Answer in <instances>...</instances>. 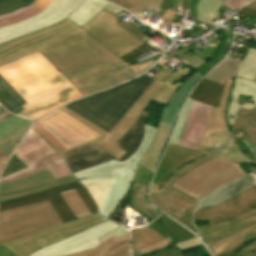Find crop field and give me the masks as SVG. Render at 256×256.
<instances>
[{
    "label": "crop field",
    "instance_id": "8a807250",
    "mask_svg": "<svg viewBox=\"0 0 256 256\" xmlns=\"http://www.w3.org/2000/svg\"><path fill=\"white\" fill-rule=\"evenodd\" d=\"M39 51L84 95L135 77L129 66L68 18L0 45V66Z\"/></svg>",
    "mask_w": 256,
    "mask_h": 256
},
{
    "label": "crop field",
    "instance_id": "ac0d7876",
    "mask_svg": "<svg viewBox=\"0 0 256 256\" xmlns=\"http://www.w3.org/2000/svg\"><path fill=\"white\" fill-rule=\"evenodd\" d=\"M193 221H209L210 225L197 229L214 256H231L242 243L256 238V188L221 205L196 211Z\"/></svg>",
    "mask_w": 256,
    "mask_h": 256
},
{
    "label": "crop field",
    "instance_id": "34b2d1b8",
    "mask_svg": "<svg viewBox=\"0 0 256 256\" xmlns=\"http://www.w3.org/2000/svg\"><path fill=\"white\" fill-rule=\"evenodd\" d=\"M152 80L153 78L144 74L129 83L83 98L64 107L108 133L138 100Z\"/></svg>",
    "mask_w": 256,
    "mask_h": 256
},
{
    "label": "crop field",
    "instance_id": "412701ff",
    "mask_svg": "<svg viewBox=\"0 0 256 256\" xmlns=\"http://www.w3.org/2000/svg\"><path fill=\"white\" fill-rule=\"evenodd\" d=\"M11 86L28 103L17 114L31 120L84 96L55 67L23 78Z\"/></svg>",
    "mask_w": 256,
    "mask_h": 256
},
{
    "label": "crop field",
    "instance_id": "f4fd0767",
    "mask_svg": "<svg viewBox=\"0 0 256 256\" xmlns=\"http://www.w3.org/2000/svg\"><path fill=\"white\" fill-rule=\"evenodd\" d=\"M117 22H119L118 19L102 10L81 28L129 63L131 65L129 68L137 76L149 68L160 55L136 63L133 57L139 56L152 48L126 32L116 24Z\"/></svg>",
    "mask_w": 256,
    "mask_h": 256
},
{
    "label": "crop field",
    "instance_id": "dd49c442",
    "mask_svg": "<svg viewBox=\"0 0 256 256\" xmlns=\"http://www.w3.org/2000/svg\"><path fill=\"white\" fill-rule=\"evenodd\" d=\"M211 158L213 157L208 154L169 144L164 153L159 168L156 171L155 179L153 182L154 184L163 187L164 189L177 195L183 200L193 204L180 218L174 217L173 215L171 216L196 234H198V232L191 222L196 200L171 187L170 185L192 168L204 163Z\"/></svg>",
    "mask_w": 256,
    "mask_h": 256
},
{
    "label": "crop field",
    "instance_id": "e52e79f7",
    "mask_svg": "<svg viewBox=\"0 0 256 256\" xmlns=\"http://www.w3.org/2000/svg\"><path fill=\"white\" fill-rule=\"evenodd\" d=\"M63 223L49 201L0 212L2 243Z\"/></svg>",
    "mask_w": 256,
    "mask_h": 256
},
{
    "label": "crop field",
    "instance_id": "d8731c3e",
    "mask_svg": "<svg viewBox=\"0 0 256 256\" xmlns=\"http://www.w3.org/2000/svg\"><path fill=\"white\" fill-rule=\"evenodd\" d=\"M243 175L246 173L239 163L215 157L186 173L172 186L199 199Z\"/></svg>",
    "mask_w": 256,
    "mask_h": 256
},
{
    "label": "crop field",
    "instance_id": "5a996713",
    "mask_svg": "<svg viewBox=\"0 0 256 256\" xmlns=\"http://www.w3.org/2000/svg\"><path fill=\"white\" fill-rule=\"evenodd\" d=\"M14 155L28 168L2 178L0 183L18 179L45 168L55 180L72 175L61 155L31 129Z\"/></svg>",
    "mask_w": 256,
    "mask_h": 256
},
{
    "label": "crop field",
    "instance_id": "3316defc",
    "mask_svg": "<svg viewBox=\"0 0 256 256\" xmlns=\"http://www.w3.org/2000/svg\"><path fill=\"white\" fill-rule=\"evenodd\" d=\"M148 115V113L143 112L132 128L126 133V135L124 134L125 136L116 144L127 152L118 160L94 143L69 150L62 154V156L70 166L73 173L99 165L112 159L119 162L127 160L136 152L143 139L144 124Z\"/></svg>",
    "mask_w": 256,
    "mask_h": 256
},
{
    "label": "crop field",
    "instance_id": "28ad6ade",
    "mask_svg": "<svg viewBox=\"0 0 256 256\" xmlns=\"http://www.w3.org/2000/svg\"><path fill=\"white\" fill-rule=\"evenodd\" d=\"M110 173L111 178L100 177L80 181L94 199L98 213L107 218L123 198L135 174L126 166L112 169Z\"/></svg>",
    "mask_w": 256,
    "mask_h": 256
},
{
    "label": "crop field",
    "instance_id": "d1516ede",
    "mask_svg": "<svg viewBox=\"0 0 256 256\" xmlns=\"http://www.w3.org/2000/svg\"><path fill=\"white\" fill-rule=\"evenodd\" d=\"M105 220L98 215H94L74 222L54 225L40 232L4 243V245L18 256H28L39 248L97 225Z\"/></svg>",
    "mask_w": 256,
    "mask_h": 256
},
{
    "label": "crop field",
    "instance_id": "22f410ed",
    "mask_svg": "<svg viewBox=\"0 0 256 256\" xmlns=\"http://www.w3.org/2000/svg\"><path fill=\"white\" fill-rule=\"evenodd\" d=\"M37 122L67 150L96 143L104 138L61 109Z\"/></svg>",
    "mask_w": 256,
    "mask_h": 256
},
{
    "label": "crop field",
    "instance_id": "cbeb9de0",
    "mask_svg": "<svg viewBox=\"0 0 256 256\" xmlns=\"http://www.w3.org/2000/svg\"><path fill=\"white\" fill-rule=\"evenodd\" d=\"M164 83L154 79L151 85L147 88V90L143 93V95L139 98V100L135 103V105L128 111V113L114 126V128L107 134L104 131L100 130L84 118L74 114L66 108H61L74 118L78 119L85 125L91 127L95 131L99 132L106 138L97 143L98 146L103 148L105 151L113 155L115 158L121 157L124 152L115 144L124 136V134L130 129L133 123L137 120V118L141 115L144 109L147 107L149 102L152 100L157 91L161 88Z\"/></svg>",
    "mask_w": 256,
    "mask_h": 256
},
{
    "label": "crop field",
    "instance_id": "5142ce71",
    "mask_svg": "<svg viewBox=\"0 0 256 256\" xmlns=\"http://www.w3.org/2000/svg\"><path fill=\"white\" fill-rule=\"evenodd\" d=\"M83 0H53L41 14L12 26L0 28V43L50 26L68 17Z\"/></svg>",
    "mask_w": 256,
    "mask_h": 256
},
{
    "label": "crop field",
    "instance_id": "d9b57169",
    "mask_svg": "<svg viewBox=\"0 0 256 256\" xmlns=\"http://www.w3.org/2000/svg\"><path fill=\"white\" fill-rule=\"evenodd\" d=\"M75 188L86 206L88 207L91 214L97 212L96 206L93 200L88 196L84 187L81 186L78 181L69 183L63 186L52 188L46 191L18 197L16 199L0 202V211L5 209H10L18 206H23L27 204L37 203L41 201L49 200L54 209L57 211L63 222L76 219L71 209L68 207L66 202L63 200L61 195L58 193L67 189Z\"/></svg>",
    "mask_w": 256,
    "mask_h": 256
},
{
    "label": "crop field",
    "instance_id": "733c2abd",
    "mask_svg": "<svg viewBox=\"0 0 256 256\" xmlns=\"http://www.w3.org/2000/svg\"><path fill=\"white\" fill-rule=\"evenodd\" d=\"M214 148L202 150L211 156H217L239 163L256 164V143L243 129L211 134Z\"/></svg>",
    "mask_w": 256,
    "mask_h": 256
},
{
    "label": "crop field",
    "instance_id": "4a817a6b",
    "mask_svg": "<svg viewBox=\"0 0 256 256\" xmlns=\"http://www.w3.org/2000/svg\"><path fill=\"white\" fill-rule=\"evenodd\" d=\"M119 225L107 220L83 232L55 242L30 256H64L96 248L101 243L97 240Z\"/></svg>",
    "mask_w": 256,
    "mask_h": 256
},
{
    "label": "crop field",
    "instance_id": "bc2a9ffb",
    "mask_svg": "<svg viewBox=\"0 0 256 256\" xmlns=\"http://www.w3.org/2000/svg\"><path fill=\"white\" fill-rule=\"evenodd\" d=\"M76 181L74 175L54 181L47 169L27 177L0 184V201L46 190Z\"/></svg>",
    "mask_w": 256,
    "mask_h": 256
},
{
    "label": "crop field",
    "instance_id": "214f88e0",
    "mask_svg": "<svg viewBox=\"0 0 256 256\" xmlns=\"http://www.w3.org/2000/svg\"><path fill=\"white\" fill-rule=\"evenodd\" d=\"M50 67H53V65L49 63L39 52H37L1 66L0 74L10 84L18 79Z\"/></svg>",
    "mask_w": 256,
    "mask_h": 256
},
{
    "label": "crop field",
    "instance_id": "92a150f3",
    "mask_svg": "<svg viewBox=\"0 0 256 256\" xmlns=\"http://www.w3.org/2000/svg\"><path fill=\"white\" fill-rule=\"evenodd\" d=\"M156 129L145 125V137L137 152L127 161L118 163L114 160L104 163L102 165L89 168L80 172L75 173L78 180L85 179V178H92V177H100V176H107L110 177L109 169L126 165L131 168L133 171H136V168L139 164V160L143 155L144 151L149 147L153 135Z\"/></svg>",
    "mask_w": 256,
    "mask_h": 256
},
{
    "label": "crop field",
    "instance_id": "dafd665d",
    "mask_svg": "<svg viewBox=\"0 0 256 256\" xmlns=\"http://www.w3.org/2000/svg\"><path fill=\"white\" fill-rule=\"evenodd\" d=\"M210 106L194 101L179 145L195 149L202 134Z\"/></svg>",
    "mask_w": 256,
    "mask_h": 256
},
{
    "label": "crop field",
    "instance_id": "00972430",
    "mask_svg": "<svg viewBox=\"0 0 256 256\" xmlns=\"http://www.w3.org/2000/svg\"><path fill=\"white\" fill-rule=\"evenodd\" d=\"M256 185V175L251 173L249 175L239 177L230 183L220 187L214 192L198 200L197 209L214 206L219 204L242 191Z\"/></svg>",
    "mask_w": 256,
    "mask_h": 256
},
{
    "label": "crop field",
    "instance_id": "a9b5d70f",
    "mask_svg": "<svg viewBox=\"0 0 256 256\" xmlns=\"http://www.w3.org/2000/svg\"><path fill=\"white\" fill-rule=\"evenodd\" d=\"M231 79L232 77H230L226 83L218 109L213 107L211 108L203 134L197 147L198 150L213 147L210 133L228 130L225 123V106Z\"/></svg>",
    "mask_w": 256,
    "mask_h": 256
},
{
    "label": "crop field",
    "instance_id": "4177f3b9",
    "mask_svg": "<svg viewBox=\"0 0 256 256\" xmlns=\"http://www.w3.org/2000/svg\"><path fill=\"white\" fill-rule=\"evenodd\" d=\"M32 122L13 116L0 123V150L7 157Z\"/></svg>",
    "mask_w": 256,
    "mask_h": 256
},
{
    "label": "crop field",
    "instance_id": "730fd06b",
    "mask_svg": "<svg viewBox=\"0 0 256 256\" xmlns=\"http://www.w3.org/2000/svg\"><path fill=\"white\" fill-rule=\"evenodd\" d=\"M151 201L160 209L180 217L191 204L152 184Z\"/></svg>",
    "mask_w": 256,
    "mask_h": 256
},
{
    "label": "crop field",
    "instance_id": "eef30255",
    "mask_svg": "<svg viewBox=\"0 0 256 256\" xmlns=\"http://www.w3.org/2000/svg\"><path fill=\"white\" fill-rule=\"evenodd\" d=\"M202 75L199 73H194L187 81H185L182 86L175 92L172 98L168 101V104L163 109L162 115L160 117L161 122L171 123L173 124L178 111L180 109V105L187 96L189 90L193 87V85L200 79Z\"/></svg>",
    "mask_w": 256,
    "mask_h": 256
},
{
    "label": "crop field",
    "instance_id": "ae1a2a85",
    "mask_svg": "<svg viewBox=\"0 0 256 256\" xmlns=\"http://www.w3.org/2000/svg\"><path fill=\"white\" fill-rule=\"evenodd\" d=\"M224 84L203 79L193 91L190 99L218 107Z\"/></svg>",
    "mask_w": 256,
    "mask_h": 256
},
{
    "label": "crop field",
    "instance_id": "d3111659",
    "mask_svg": "<svg viewBox=\"0 0 256 256\" xmlns=\"http://www.w3.org/2000/svg\"><path fill=\"white\" fill-rule=\"evenodd\" d=\"M52 0H35L31 5L0 16V27L15 24L45 10Z\"/></svg>",
    "mask_w": 256,
    "mask_h": 256
},
{
    "label": "crop field",
    "instance_id": "750c4746",
    "mask_svg": "<svg viewBox=\"0 0 256 256\" xmlns=\"http://www.w3.org/2000/svg\"><path fill=\"white\" fill-rule=\"evenodd\" d=\"M107 5L102 0H84L68 18L81 27Z\"/></svg>",
    "mask_w": 256,
    "mask_h": 256
},
{
    "label": "crop field",
    "instance_id": "bd1437ed",
    "mask_svg": "<svg viewBox=\"0 0 256 256\" xmlns=\"http://www.w3.org/2000/svg\"><path fill=\"white\" fill-rule=\"evenodd\" d=\"M0 103L10 112L16 114L24 110L26 102L0 75Z\"/></svg>",
    "mask_w": 256,
    "mask_h": 256
},
{
    "label": "crop field",
    "instance_id": "1d83c4d3",
    "mask_svg": "<svg viewBox=\"0 0 256 256\" xmlns=\"http://www.w3.org/2000/svg\"><path fill=\"white\" fill-rule=\"evenodd\" d=\"M147 190L148 185L134 182L130 201L134 208L152 219L159 215V212L147 203Z\"/></svg>",
    "mask_w": 256,
    "mask_h": 256
},
{
    "label": "crop field",
    "instance_id": "120bbe31",
    "mask_svg": "<svg viewBox=\"0 0 256 256\" xmlns=\"http://www.w3.org/2000/svg\"><path fill=\"white\" fill-rule=\"evenodd\" d=\"M149 226L132 231L133 254L138 253V249L142 247L165 239L161 234Z\"/></svg>",
    "mask_w": 256,
    "mask_h": 256
},
{
    "label": "crop field",
    "instance_id": "d32e631a",
    "mask_svg": "<svg viewBox=\"0 0 256 256\" xmlns=\"http://www.w3.org/2000/svg\"><path fill=\"white\" fill-rule=\"evenodd\" d=\"M134 14L139 13L142 10H147L156 13L155 16L161 17L163 12L158 8L162 0H109Z\"/></svg>",
    "mask_w": 256,
    "mask_h": 256
},
{
    "label": "crop field",
    "instance_id": "5866460e",
    "mask_svg": "<svg viewBox=\"0 0 256 256\" xmlns=\"http://www.w3.org/2000/svg\"><path fill=\"white\" fill-rule=\"evenodd\" d=\"M162 227L169 236H171L174 243L181 242L184 240H188L191 238H195V236L187 231L184 227L169 219L167 216H160L158 219L153 221Z\"/></svg>",
    "mask_w": 256,
    "mask_h": 256
},
{
    "label": "crop field",
    "instance_id": "028f5c9d",
    "mask_svg": "<svg viewBox=\"0 0 256 256\" xmlns=\"http://www.w3.org/2000/svg\"><path fill=\"white\" fill-rule=\"evenodd\" d=\"M243 128L256 142V109L254 111L240 108L233 129Z\"/></svg>",
    "mask_w": 256,
    "mask_h": 256
},
{
    "label": "crop field",
    "instance_id": "e1f06a70",
    "mask_svg": "<svg viewBox=\"0 0 256 256\" xmlns=\"http://www.w3.org/2000/svg\"><path fill=\"white\" fill-rule=\"evenodd\" d=\"M171 124L161 123L159 122V125L157 127V131L154 135L153 141L151 146L145 151L146 154L154 155V156H160L164 145L166 143V140L168 138V135L172 129Z\"/></svg>",
    "mask_w": 256,
    "mask_h": 256
},
{
    "label": "crop field",
    "instance_id": "0bd39190",
    "mask_svg": "<svg viewBox=\"0 0 256 256\" xmlns=\"http://www.w3.org/2000/svg\"><path fill=\"white\" fill-rule=\"evenodd\" d=\"M223 2L224 0H200L196 6V10H198L196 19L215 28L217 25L209 23L204 19L211 13L215 14V18L218 19V12Z\"/></svg>",
    "mask_w": 256,
    "mask_h": 256
},
{
    "label": "crop field",
    "instance_id": "b80d0937",
    "mask_svg": "<svg viewBox=\"0 0 256 256\" xmlns=\"http://www.w3.org/2000/svg\"><path fill=\"white\" fill-rule=\"evenodd\" d=\"M64 200L67 202L69 207L72 209L74 214L79 217L90 215V212L86 208L85 204L75 191V189L60 192Z\"/></svg>",
    "mask_w": 256,
    "mask_h": 256
},
{
    "label": "crop field",
    "instance_id": "c035e120",
    "mask_svg": "<svg viewBox=\"0 0 256 256\" xmlns=\"http://www.w3.org/2000/svg\"><path fill=\"white\" fill-rule=\"evenodd\" d=\"M220 31L223 33V41L220 45L219 49L217 50L213 60L211 62H208L206 65H204L201 69H199L197 72L200 74H205L207 71H209L213 66H215L225 55L227 48L231 41V33L225 29H220Z\"/></svg>",
    "mask_w": 256,
    "mask_h": 256
},
{
    "label": "crop field",
    "instance_id": "c21b1889",
    "mask_svg": "<svg viewBox=\"0 0 256 256\" xmlns=\"http://www.w3.org/2000/svg\"><path fill=\"white\" fill-rule=\"evenodd\" d=\"M167 62L168 61H161L160 60L157 63V65H159L163 68L161 70H159L155 75H153V77H155V78H157V79H159L163 82L173 84L177 79H179L181 76H183L184 74H186L188 71L191 70L188 67L185 68L184 70L179 68L177 71H175L173 73H169V72L166 71L168 68L163 66Z\"/></svg>",
    "mask_w": 256,
    "mask_h": 256
},
{
    "label": "crop field",
    "instance_id": "03da06ac",
    "mask_svg": "<svg viewBox=\"0 0 256 256\" xmlns=\"http://www.w3.org/2000/svg\"><path fill=\"white\" fill-rule=\"evenodd\" d=\"M192 102H193L192 100L188 99V101L185 103L182 114H181L180 119H179V122L177 124L176 130H175V132H174V134H173V136L170 140L171 143H175V144L179 143L181 132H182V129L185 125V122H186L189 110L191 108Z\"/></svg>",
    "mask_w": 256,
    "mask_h": 256
},
{
    "label": "crop field",
    "instance_id": "b54c1fbb",
    "mask_svg": "<svg viewBox=\"0 0 256 256\" xmlns=\"http://www.w3.org/2000/svg\"><path fill=\"white\" fill-rule=\"evenodd\" d=\"M34 0H0V15L29 5Z\"/></svg>",
    "mask_w": 256,
    "mask_h": 256
},
{
    "label": "crop field",
    "instance_id": "5d738f31",
    "mask_svg": "<svg viewBox=\"0 0 256 256\" xmlns=\"http://www.w3.org/2000/svg\"><path fill=\"white\" fill-rule=\"evenodd\" d=\"M181 86V83H178L176 85H168L164 84L163 87L158 91L156 96L153 98V101L161 102V103H167V101L171 98L173 93L178 89V87Z\"/></svg>",
    "mask_w": 256,
    "mask_h": 256
},
{
    "label": "crop field",
    "instance_id": "d23c7cc5",
    "mask_svg": "<svg viewBox=\"0 0 256 256\" xmlns=\"http://www.w3.org/2000/svg\"><path fill=\"white\" fill-rule=\"evenodd\" d=\"M36 130L47 142H49L60 154L67 151L58 141H56L46 130H44L37 122L32 127Z\"/></svg>",
    "mask_w": 256,
    "mask_h": 256
},
{
    "label": "crop field",
    "instance_id": "425ffa30",
    "mask_svg": "<svg viewBox=\"0 0 256 256\" xmlns=\"http://www.w3.org/2000/svg\"><path fill=\"white\" fill-rule=\"evenodd\" d=\"M180 59L183 60V61H181L183 64L187 65L189 68H191L195 72L199 68H201L204 64L207 63V62L203 61L202 59H200L196 56H193L191 54V52L189 54L185 55L184 57L180 58Z\"/></svg>",
    "mask_w": 256,
    "mask_h": 256
},
{
    "label": "crop field",
    "instance_id": "25e5ab78",
    "mask_svg": "<svg viewBox=\"0 0 256 256\" xmlns=\"http://www.w3.org/2000/svg\"><path fill=\"white\" fill-rule=\"evenodd\" d=\"M152 172L144 167L142 164H139L136 174L132 181L141 182L148 184L151 178Z\"/></svg>",
    "mask_w": 256,
    "mask_h": 256
},
{
    "label": "crop field",
    "instance_id": "73cf0c24",
    "mask_svg": "<svg viewBox=\"0 0 256 256\" xmlns=\"http://www.w3.org/2000/svg\"><path fill=\"white\" fill-rule=\"evenodd\" d=\"M118 25H120L122 28H124L126 31L130 32L131 34H133L134 36L138 37L139 39L141 40H146L147 38L150 39V37L142 34L140 31H138L137 29H135L134 27H132L130 24H128L127 22L125 21H122L120 23H118ZM160 36L163 40H166L168 39L167 37L165 38L163 35L161 34H156L155 36ZM153 36V37H155ZM151 37V38H153Z\"/></svg>",
    "mask_w": 256,
    "mask_h": 256
},
{
    "label": "crop field",
    "instance_id": "89e229c0",
    "mask_svg": "<svg viewBox=\"0 0 256 256\" xmlns=\"http://www.w3.org/2000/svg\"><path fill=\"white\" fill-rule=\"evenodd\" d=\"M128 249H130V239L108 249L109 252L105 255L106 256H116Z\"/></svg>",
    "mask_w": 256,
    "mask_h": 256
},
{
    "label": "crop field",
    "instance_id": "1f2cbd36",
    "mask_svg": "<svg viewBox=\"0 0 256 256\" xmlns=\"http://www.w3.org/2000/svg\"><path fill=\"white\" fill-rule=\"evenodd\" d=\"M253 244L240 248L235 252L237 256H256V239L251 241Z\"/></svg>",
    "mask_w": 256,
    "mask_h": 256
},
{
    "label": "crop field",
    "instance_id": "dbb93151",
    "mask_svg": "<svg viewBox=\"0 0 256 256\" xmlns=\"http://www.w3.org/2000/svg\"><path fill=\"white\" fill-rule=\"evenodd\" d=\"M128 234V232H126L121 226L114 229L113 231L109 232L108 234H106L105 236L101 237L100 239H98L101 243L104 242L105 240H107L108 238H110L111 236H116L117 238L124 236Z\"/></svg>",
    "mask_w": 256,
    "mask_h": 256
},
{
    "label": "crop field",
    "instance_id": "0fb4a251",
    "mask_svg": "<svg viewBox=\"0 0 256 256\" xmlns=\"http://www.w3.org/2000/svg\"><path fill=\"white\" fill-rule=\"evenodd\" d=\"M249 1H251V0H226L223 5L235 11L241 5H243Z\"/></svg>",
    "mask_w": 256,
    "mask_h": 256
},
{
    "label": "crop field",
    "instance_id": "1d79db26",
    "mask_svg": "<svg viewBox=\"0 0 256 256\" xmlns=\"http://www.w3.org/2000/svg\"><path fill=\"white\" fill-rule=\"evenodd\" d=\"M176 245L178 246V248L180 250H182V249L192 248V247H195L197 245H201V243L198 241L197 238H195V239H191V240L184 241V242H181V243H177Z\"/></svg>",
    "mask_w": 256,
    "mask_h": 256
},
{
    "label": "crop field",
    "instance_id": "9d1cf04e",
    "mask_svg": "<svg viewBox=\"0 0 256 256\" xmlns=\"http://www.w3.org/2000/svg\"><path fill=\"white\" fill-rule=\"evenodd\" d=\"M16 172L17 171H20L24 168H26V166L20 162L14 155L13 157L11 158V160L9 161L8 163Z\"/></svg>",
    "mask_w": 256,
    "mask_h": 256
},
{
    "label": "crop field",
    "instance_id": "447ae74e",
    "mask_svg": "<svg viewBox=\"0 0 256 256\" xmlns=\"http://www.w3.org/2000/svg\"><path fill=\"white\" fill-rule=\"evenodd\" d=\"M155 256H183V254L178 251H172V249L168 250V251H165V252H162L160 254H157Z\"/></svg>",
    "mask_w": 256,
    "mask_h": 256
},
{
    "label": "crop field",
    "instance_id": "0765c3eb",
    "mask_svg": "<svg viewBox=\"0 0 256 256\" xmlns=\"http://www.w3.org/2000/svg\"><path fill=\"white\" fill-rule=\"evenodd\" d=\"M13 116V114L6 111L2 106H0V122Z\"/></svg>",
    "mask_w": 256,
    "mask_h": 256
},
{
    "label": "crop field",
    "instance_id": "db79e9e6",
    "mask_svg": "<svg viewBox=\"0 0 256 256\" xmlns=\"http://www.w3.org/2000/svg\"><path fill=\"white\" fill-rule=\"evenodd\" d=\"M108 249V248H107ZM106 252H108L106 249L99 252L98 254L94 255V256H102L104 255ZM69 256H87L84 252H81V253H77V254H73V255H69ZM124 256H131V252L124 255Z\"/></svg>",
    "mask_w": 256,
    "mask_h": 256
},
{
    "label": "crop field",
    "instance_id": "7b73153f",
    "mask_svg": "<svg viewBox=\"0 0 256 256\" xmlns=\"http://www.w3.org/2000/svg\"><path fill=\"white\" fill-rule=\"evenodd\" d=\"M242 14H246V15H250V16H254L256 17V11L254 10H251V9H248L246 7L242 8L240 11H238Z\"/></svg>",
    "mask_w": 256,
    "mask_h": 256
},
{
    "label": "crop field",
    "instance_id": "78b8030e",
    "mask_svg": "<svg viewBox=\"0 0 256 256\" xmlns=\"http://www.w3.org/2000/svg\"><path fill=\"white\" fill-rule=\"evenodd\" d=\"M174 14H176L175 11L170 10V9L167 8V10H166V12L164 13L163 17L168 18V19H170V20L173 21L174 18H175V17H173Z\"/></svg>",
    "mask_w": 256,
    "mask_h": 256
},
{
    "label": "crop field",
    "instance_id": "0f1d7ab4",
    "mask_svg": "<svg viewBox=\"0 0 256 256\" xmlns=\"http://www.w3.org/2000/svg\"><path fill=\"white\" fill-rule=\"evenodd\" d=\"M198 0H190V4H189V10H191L190 14L196 15L195 12V5L197 4Z\"/></svg>",
    "mask_w": 256,
    "mask_h": 256
},
{
    "label": "crop field",
    "instance_id": "e1d0b9f6",
    "mask_svg": "<svg viewBox=\"0 0 256 256\" xmlns=\"http://www.w3.org/2000/svg\"><path fill=\"white\" fill-rule=\"evenodd\" d=\"M8 158L0 151V169Z\"/></svg>",
    "mask_w": 256,
    "mask_h": 256
},
{
    "label": "crop field",
    "instance_id": "ae633e8c",
    "mask_svg": "<svg viewBox=\"0 0 256 256\" xmlns=\"http://www.w3.org/2000/svg\"><path fill=\"white\" fill-rule=\"evenodd\" d=\"M169 1L170 0H163L159 9L165 12L167 5L169 4Z\"/></svg>",
    "mask_w": 256,
    "mask_h": 256
},
{
    "label": "crop field",
    "instance_id": "d14b1444",
    "mask_svg": "<svg viewBox=\"0 0 256 256\" xmlns=\"http://www.w3.org/2000/svg\"><path fill=\"white\" fill-rule=\"evenodd\" d=\"M182 50H183V49H182ZM182 50H180V51L175 50V52H174L173 54L179 55V56L182 57V56H183V55H182V53H183ZM186 50H187V49H186ZM188 51H189V50H187L186 52H188ZM189 52H190V51H189ZM168 56H170V55H166L164 58H166V57H168Z\"/></svg>",
    "mask_w": 256,
    "mask_h": 256
},
{
    "label": "crop field",
    "instance_id": "c39391a2",
    "mask_svg": "<svg viewBox=\"0 0 256 256\" xmlns=\"http://www.w3.org/2000/svg\"><path fill=\"white\" fill-rule=\"evenodd\" d=\"M180 1L181 0H171L169 6H171V5L177 6V5H179Z\"/></svg>",
    "mask_w": 256,
    "mask_h": 256
},
{
    "label": "crop field",
    "instance_id": "ade564c9",
    "mask_svg": "<svg viewBox=\"0 0 256 256\" xmlns=\"http://www.w3.org/2000/svg\"><path fill=\"white\" fill-rule=\"evenodd\" d=\"M246 7L256 10V1L247 5Z\"/></svg>",
    "mask_w": 256,
    "mask_h": 256
},
{
    "label": "crop field",
    "instance_id": "c5b07064",
    "mask_svg": "<svg viewBox=\"0 0 256 256\" xmlns=\"http://www.w3.org/2000/svg\"><path fill=\"white\" fill-rule=\"evenodd\" d=\"M7 249L1 242H0V252ZM1 256V255H0ZM10 256H16L14 254L10 255Z\"/></svg>",
    "mask_w": 256,
    "mask_h": 256
},
{
    "label": "crop field",
    "instance_id": "c3a83c6f",
    "mask_svg": "<svg viewBox=\"0 0 256 256\" xmlns=\"http://www.w3.org/2000/svg\"><path fill=\"white\" fill-rule=\"evenodd\" d=\"M214 18V15L213 14H211L209 17H207L206 18V20H208V21H210L211 22V20Z\"/></svg>",
    "mask_w": 256,
    "mask_h": 256
},
{
    "label": "crop field",
    "instance_id": "fb207236",
    "mask_svg": "<svg viewBox=\"0 0 256 256\" xmlns=\"http://www.w3.org/2000/svg\"><path fill=\"white\" fill-rule=\"evenodd\" d=\"M189 0H183V6L187 7Z\"/></svg>",
    "mask_w": 256,
    "mask_h": 256
},
{
    "label": "crop field",
    "instance_id": "7312dd0a",
    "mask_svg": "<svg viewBox=\"0 0 256 256\" xmlns=\"http://www.w3.org/2000/svg\"><path fill=\"white\" fill-rule=\"evenodd\" d=\"M246 170H248V171L253 172V173H255V174H256V169H255V168L246 169Z\"/></svg>",
    "mask_w": 256,
    "mask_h": 256
},
{
    "label": "crop field",
    "instance_id": "180be81f",
    "mask_svg": "<svg viewBox=\"0 0 256 256\" xmlns=\"http://www.w3.org/2000/svg\"><path fill=\"white\" fill-rule=\"evenodd\" d=\"M160 40H162V39H160ZM162 41H163V40H162ZM168 41L171 43V40H170V39H169V40H167V41H163V42H165V43H166V42H168Z\"/></svg>",
    "mask_w": 256,
    "mask_h": 256
},
{
    "label": "crop field",
    "instance_id": "f0312440",
    "mask_svg": "<svg viewBox=\"0 0 256 256\" xmlns=\"http://www.w3.org/2000/svg\"><path fill=\"white\" fill-rule=\"evenodd\" d=\"M171 58H173L172 56L168 58V60H170Z\"/></svg>",
    "mask_w": 256,
    "mask_h": 256
},
{
    "label": "crop field",
    "instance_id": "1f1604b0",
    "mask_svg": "<svg viewBox=\"0 0 256 256\" xmlns=\"http://www.w3.org/2000/svg\"><path fill=\"white\" fill-rule=\"evenodd\" d=\"M256 81V80H255Z\"/></svg>",
    "mask_w": 256,
    "mask_h": 256
}]
</instances>
